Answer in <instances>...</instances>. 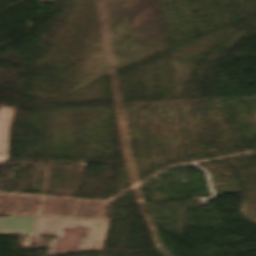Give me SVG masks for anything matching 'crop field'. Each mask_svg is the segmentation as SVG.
Listing matches in <instances>:
<instances>
[{
    "instance_id": "8a807250",
    "label": "crop field",
    "mask_w": 256,
    "mask_h": 256,
    "mask_svg": "<svg viewBox=\"0 0 256 256\" xmlns=\"http://www.w3.org/2000/svg\"><path fill=\"white\" fill-rule=\"evenodd\" d=\"M108 222L39 218L34 234L56 235L59 226L88 227L82 251H100Z\"/></svg>"
},
{
    "instance_id": "ac0d7876",
    "label": "crop field",
    "mask_w": 256,
    "mask_h": 256,
    "mask_svg": "<svg viewBox=\"0 0 256 256\" xmlns=\"http://www.w3.org/2000/svg\"><path fill=\"white\" fill-rule=\"evenodd\" d=\"M37 218L31 217H0V234L31 235Z\"/></svg>"
},
{
    "instance_id": "34b2d1b8",
    "label": "crop field",
    "mask_w": 256,
    "mask_h": 256,
    "mask_svg": "<svg viewBox=\"0 0 256 256\" xmlns=\"http://www.w3.org/2000/svg\"><path fill=\"white\" fill-rule=\"evenodd\" d=\"M15 108L0 107V154H7L10 125Z\"/></svg>"
},
{
    "instance_id": "412701ff",
    "label": "crop field",
    "mask_w": 256,
    "mask_h": 256,
    "mask_svg": "<svg viewBox=\"0 0 256 256\" xmlns=\"http://www.w3.org/2000/svg\"><path fill=\"white\" fill-rule=\"evenodd\" d=\"M7 161V155H0V162Z\"/></svg>"
}]
</instances>
